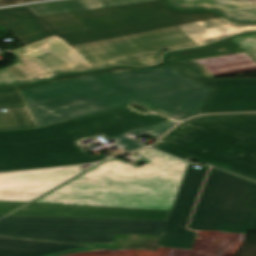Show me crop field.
<instances>
[{"label":"crop field","mask_w":256,"mask_h":256,"mask_svg":"<svg viewBox=\"0 0 256 256\" xmlns=\"http://www.w3.org/2000/svg\"><path fill=\"white\" fill-rule=\"evenodd\" d=\"M0 24L25 46L1 70L14 84L111 65L145 67L166 52L256 31L202 10H178L166 0H69L0 10Z\"/></svg>","instance_id":"1"},{"label":"crop field","mask_w":256,"mask_h":256,"mask_svg":"<svg viewBox=\"0 0 256 256\" xmlns=\"http://www.w3.org/2000/svg\"><path fill=\"white\" fill-rule=\"evenodd\" d=\"M202 86L175 67L106 74L20 90L38 127Z\"/></svg>","instance_id":"2"},{"label":"crop field","mask_w":256,"mask_h":256,"mask_svg":"<svg viewBox=\"0 0 256 256\" xmlns=\"http://www.w3.org/2000/svg\"><path fill=\"white\" fill-rule=\"evenodd\" d=\"M137 168L108 160L33 203L170 210L188 162L146 148Z\"/></svg>","instance_id":"3"},{"label":"crop field","mask_w":256,"mask_h":256,"mask_svg":"<svg viewBox=\"0 0 256 256\" xmlns=\"http://www.w3.org/2000/svg\"><path fill=\"white\" fill-rule=\"evenodd\" d=\"M98 135L116 140L125 152L144 147L128 135L114 109L42 128L0 131V172L105 159L94 158L77 144Z\"/></svg>","instance_id":"4"},{"label":"crop field","mask_w":256,"mask_h":256,"mask_svg":"<svg viewBox=\"0 0 256 256\" xmlns=\"http://www.w3.org/2000/svg\"><path fill=\"white\" fill-rule=\"evenodd\" d=\"M196 126H221L230 137L181 144L171 142ZM152 147L187 161L193 158L256 180L255 175L215 159L238 154H248L256 159V114L206 115L191 118Z\"/></svg>","instance_id":"5"},{"label":"crop field","mask_w":256,"mask_h":256,"mask_svg":"<svg viewBox=\"0 0 256 256\" xmlns=\"http://www.w3.org/2000/svg\"><path fill=\"white\" fill-rule=\"evenodd\" d=\"M165 222L7 216L0 220V235L64 242L112 244L114 233L162 234Z\"/></svg>","instance_id":"6"},{"label":"crop field","mask_w":256,"mask_h":256,"mask_svg":"<svg viewBox=\"0 0 256 256\" xmlns=\"http://www.w3.org/2000/svg\"><path fill=\"white\" fill-rule=\"evenodd\" d=\"M256 212V182L212 167L189 228L247 233Z\"/></svg>","instance_id":"7"},{"label":"crop field","mask_w":256,"mask_h":256,"mask_svg":"<svg viewBox=\"0 0 256 256\" xmlns=\"http://www.w3.org/2000/svg\"><path fill=\"white\" fill-rule=\"evenodd\" d=\"M175 67L183 76L212 89L199 114L256 111V79L215 78L200 65L188 62Z\"/></svg>","instance_id":"8"},{"label":"crop field","mask_w":256,"mask_h":256,"mask_svg":"<svg viewBox=\"0 0 256 256\" xmlns=\"http://www.w3.org/2000/svg\"><path fill=\"white\" fill-rule=\"evenodd\" d=\"M80 172L75 166L0 174V201L28 202Z\"/></svg>","instance_id":"9"},{"label":"crop field","mask_w":256,"mask_h":256,"mask_svg":"<svg viewBox=\"0 0 256 256\" xmlns=\"http://www.w3.org/2000/svg\"><path fill=\"white\" fill-rule=\"evenodd\" d=\"M169 212L30 203L10 215L166 220Z\"/></svg>","instance_id":"10"},{"label":"crop field","mask_w":256,"mask_h":256,"mask_svg":"<svg viewBox=\"0 0 256 256\" xmlns=\"http://www.w3.org/2000/svg\"><path fill=\"white\" fill-rule=\"evenodd\" d=\"M129 70L137 69L118 67L90 73L65 75L53 82ZM53 82H41L37 85ZM37 85L0 87V108H6L7 110L4 113L0 111V130L37 127L19 91V89Z\"/></svg>","instance_id":"11"},{"label":"crop field","mask_w":256,"mask_h":256,"mask_svg":"<svg viewBox=\"0 0 256 256\" xmlns=\"http://www.w3.org/2000/svg\"><path fill=\"white\" fill-rule=\"evenodd\" d=\"M192 167L193 164L189 163L164 230L196 234L186 230V225L209 166L205 165L200 170Z\"/></svg>","instance_id":"12"},{"label":"crop field","mask_w":256,"mask_h":256,"mask_svg":"<svg viewBox=\"0 0 256 256\" xmlns=\"http://www.w3.org/2000/svg\"><path fill=\"white\" fill-rule=\"evenodd\" d=\"M99 249L116 248L0 236V256H69Z\"/></svg>","instance_id":"13"},{"label":"crop field","mask_w":256,"mask_h":256,"mask_svg":"<svg viewBox=\"0 0 256 256\" xmlns=\"http://www.w3.org/2000/svg\"><path fill=\"white\" fill-rule=\"evenodd\" d=\"M209 92L202 86L137 104L181 121L198 114Z\"/></svg>","instance_id":"14"},{"label":"crop field","mask_w":256,"mask_h":256,"mask_svg":"<svg viewBox=\"0 0 256 256\" xmlns=\"http://www.w3.org/2000/svg\"><path fill=\"white\" fill-rule=\"evenodd\" d=\"M128 133L157 139L171 129L178 121L148 111L146 114L132 109L130 105L117 109Z\"/></svg>","instance_id":"15"},{"label":"crop field","mask_w":256,"mask_h":256,"mask_svg":"<svg viewBox=\"0 0 256 256\" xmlns=\"http://www.w3.org/2000/svg\"><path fill=\"white\" fill-rule=\"evenodd\" d=\"M169 2L178 8L212 9L235 21H256V4L246 0H169Z\"/></svg>","instance_id":"16"},{"label":"crop field","mask_w":256,"mask_h":256,"mask_svg":"<svg viewBox=\"0 0 256 256\" xmlns=\"http://www.w3.org/2000/svg\"><path fill=\"white\" fill-rule=\"evenodd\" d=\"M242 52L244 51L237 47L235 44H233L231 41L227 40L199 50L170 54L166 56V63L163 66H175L176 64L182 61L229 55Z\"/></svg>","instance_id":"17"},{"label":"crop field","mask_w":256,"mask_h":256,"mask_svg":"<svg viewBox=\"0 0 256 256\" xmlns=\"http://www.w3.org/2000/svg\"><path fill=\"white\" fill-rule=\"evenodd\" d=\"M226 136L228 135L221 127H197L173 142L181 143Z\"/></svg>","instance_id":"18"},{"label":"crop field","mask_w":256,"mask_h":256,"mask_svg":"<svg viewBox=\"0 0 256 256\" xmlns=\"http://www.w3.org/2000/svg\"><path fill=\"white\" fill-rule=\"evenodd\" d=\"M195 235L164 231L158 246L190 249Z\"/></svg>","instance_id":"19"},{"label":"crop field","mask_w":256,"mask_h":256,"mask_svg":"<svg viewBox=\"0 0 256 256\" xmlns=\"http://www.w3.org/2000/svg\"><path fill=\"white\" fill-rule=\"evenodd\" d=\"M218 159L233 164L237 166L236 168L256 175V160L248 155H238Z\"/></svg>","instance_id":"20"},{"label":"crop field","mask_w":256,"mask_h":256,"mask_svg":"<svg viewBox=\"0 0 256 256\" xmlns=\"http://www.w3.org/2000/svg\"><path fill=\"white\" fill-rule=\"evenodd\" d=\"M256 59V34L231 38Z\"/></svg>","instance_id":"21"},{"label":"crop field","mask_w":256,"mask_h":256,"mask_svg":"<svg viewBox=\"0 0 256 256\" xmlns=\"http://www.w3.org/2000/svg\"><path fill=\"white\" fill-rule=\"evenodd\" d=\"M24 204L0 203V215H6Z\"/></svg>","instance_id":"22"},{"label":"crop field","mask_w":256,"mask_h":256,"mask_svg":"<svg viewBox=\"0 0 256 256\" xmlns=\"http://www.w3.org/2000/svg\"><path fill=\"white\" fill-rule=\"evenodd\" d=\"M29 1H36V0H0V6L29 2Z\"/></svg>","instance_id":"23"},{"label":"crop field","mask_w":256,"mask_h":256,"mask_svg":"<svg viewBox=\"0 0 256 256\" xmlns=\"http://www.w3.org/2000/svg\"><path fill=\"white\" fill-rule=\"evenodd\" d=\"M13 84L1 71H0V85Z\"/></svg>","instance_id":"24"},{"label":"crop field","mask_w":256,"mask_h":256,"mask_svg":"<svg viewBox=\"0 0 256 256\" xmlns=\"http://www.w3.org/2000/svg\"><path fill=\"white\" fill-rule=\"evenodd\" d=\"M249 230H254V231H256V215H255V217H254V220H253L252 225H251V227H250Z\"/></svg>","instance_id":"25"},{"label":"crop field","mask_w":256,"mask_h":256,"mask_svg":"<svg viewBox=\"0 0 256 256\" xmlns=\"http://www.w3.org/2000/svg\"><path fill=\"white\" fill-rule=\"evenodd\" d=\"M2 217H4V216H0V218H2Z\"/></svg>","instance_id":"26"}]
</instances>
